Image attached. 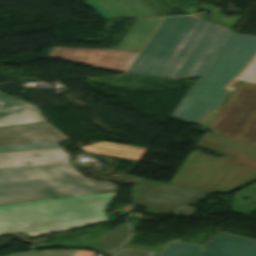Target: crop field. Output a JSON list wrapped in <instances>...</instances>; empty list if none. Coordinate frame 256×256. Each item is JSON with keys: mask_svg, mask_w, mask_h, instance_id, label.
Returning a JSON list of instances; mask_svg holds the SVG:
<instances>
[{"mask_svg": "<svg viewBox=\"0 0 256 256\" xmlns=\"http://www.w3.org/2000/svg\"><path fill=\"white\" fill-rule=\"evenodd\" d=\"M232 31L194 15L166 18L128 72L169 79L203 76Z\"/></svg>", "mask_w": 256, "mask_h": 256, "instance_id": "1", "label": "crop field"}, {"mask_svg": "<svg viewBox=\"0 0 256 256\" xmlns=\"http://www.w3.org/2000/svg\"><path fill=\"white\" fill-rule=\"evenodd\" d=\"M114 190V183L83 177L63 151L0 156V204Z\"/></svg>", "mask_w": 256, "mask_h": 256, "instance_id": "2", "label": "crop field"}, {"mask_svg": "<svg viewBox=\"0 0 256 256\" xmlns=\"http://www.w3.org/2000/svg\"><path fill=\"white\" fill-rule=\"evenodd\" d=\"M117 191L0 205V236L23 232L33 238L106 221Z\"/></svg>", "mask_w": 256, "mask_h": 256, "instance_id": "3", "label": "crop field"}, {"mask_svg": "<svg viewBox=\"0 0 256 256\" xmlns=\"http://www.w3.org/2000/svg\"><path fill=\"white\" fill-rule=\"evenodd\" d=\"M197 146L225 155L223 161L191 151L172 184L227 193L256 180V146L208 132Z\"/></svg>", "mask_w": 256, "mask_h": 256, "instance_id": "4", "label": "crop field"}, {"mask_svg": "<svg viewBox=\"0 0 256 256\" xmlns=\"http://www.w3.org/2000/svg\"><path fill=\"white\" fill-rule=\"evenodd\" d=\"M255 52L256 36L233 34L171 117L196 124L206 112L218 108L228 95L227 85Z\"/></svg>", "mask_w": 256, "mask_h": 256, "instance_id": "5", "label": "crop field"}, {"mask_svg": "<svg viewBox=\"0 0 256 256\" xmlns=\"http://www.w3.org/2000/svg\"><path fill=\"white\" fill-rule=\"evenodd\" d=\"M208 130L256 145V85H237Z\"/></svg>", "mask_w": 256, "mask_h": 256, "instance_id": "6", "label": "crop field"}, {"mask_svg": "<svg viewBox=\"0 0 256 256\" xmlns=\"http://www.w3.org/2000/svg\"><path fill=\"white\" fill-rule=\"evenodd\" d=\"M69 140L48 123L0 129V153L61 148Z\"/></svg>", "mask_w": 256, "mask_h": 256, "instance_id": "7", "label": "crop field"}, {"mask_svg": "<svg viewBox=\"0 0 256 256\" xmlns=\"http://www.w3.org/2000/svg\"><path fill=\"white\" fill-rule=\"evenodd\" d=\"M159 256H256V241L219 232L204 246L170 242Z\"/></svg>", "mask_w": 256, "mask_h": 256, "instance_id": "8", "label": "crop field"}, {"mask_svg": "<svg viewBox=\"0 0 256 256\" xmlns=\"http://www.w3.org/2000/svg\"><path fill=\"white\" fill-rule=\"evenodd\" d=\"M137 53L53 46L49 57L101 69L125 72Z\"/></svg>", "mask_w": 256, "mask_h": 256, "instance_id": "9", "label": "crop field"}, {"mask_svg": "<svg viewBox=\"0 0 256 256\" xmlns=\"http://www.w3.org/2000/svg\"><path fill=\"white\" fill-rule=\"evenodd\" d=\"M209 193L187 187L141 179L135 192V200L140 205L154 204L178 208L180 205H190Z\"/></svg>", "mask_w": 256, "mask_h": 256, "instance_id": "10", "label": "crop field"}, {"mask_svg": "<svg viewBox=\"0 0 256 256\" xmlns=\"http://www.w3.org/2000/svg\"><path fill=\"white\" fill-rule=\"evenodd\" d=\"M43 122L37 107L0 92V128Z\"/></svg>", "mask_w": 256, "mask_h": 256, "instance_id": "11", "label": "crop field"}, {"mask_svg": "<svg viewBox=\"0 0 256 256\" xmlns=\"http://www.w3.org/2000/svg\"><path fill=\"white\" fill-rule=\"evenodd\" d=\"M104 19L157 16L138 0H81Z\"/></svg>", "mask_w": 256, "mask_h": 256, "instance_id": "12", "label": "crop field"}, {"mask_svg": "<svg viewBox=\"0 0 256 256\" xmlns=\"http://www.w3.org/2000/svg\"><path fill=\"white\" fill-rule=\"evenodd\" d=\"M163 18L136 19L134 25L117 47L119 50L140 52Z\"/></svg>", "mask_w": 256, "mask_h": 256, "instance_id": "13", "label": "crop field"}, {"mask_svg": "<svg viewBox=\"0 0 256 256\" xmlns=\"http://www.w3.org/2000/svg\"><path fill=\"white\" fill-rule=\"evenodd\" d=\"M82 149L90 153L102 154L136 161H139L141 156L146 151V149L144 148L131 147L106 142H101L91 146L82 147Z\"/></svg>", "mask_w": 256, "mask_h": 256, "instance_id": "14", "label": "crop field"}, {"mask_svg": "<svg viewBox=\"0 0 256 256\" xmlns=\"http://www.w3.org/2000/svg\"><path fill=\"white\" fill-rule=\"evenodd\" d=\"M130 233V229L127 225H120L114 230H111L107 233L103 243L101 244L99 251L107 254L115 247L119 246Z\"/></svg>", "mask_w": 256, "mask_h": 256, "instance_id": "15", "label": "crop field"}, {"mask_svg": "<svg viewBox=\"0 0 256 256\" xmlns=\"http://www.w3.org/2000/svg\"><path fill=\"white\" fill-rule=\"evenodd\" d=\"M235 79L256 84V56Z\"/></svg>", "mask_w": 256, "mask_h": 256, "instance_id": "16", "label": "crop field"}, {"mask_svg": "<svg viewBox=\"0 0 256 256\" xmlns=\"http://www.w3.org/2000/svg\"><path fill=\"white\" fill-rule=\"evenodd\" d=\"M75 252L76 250L30 251L11 256H73Z\"/></svg>", "mask_w": 256, "mask_h": 256, "instance_id": "17", "label": "crop field"}, {"mask_svg": "<svg viewBox=\"0 0 256 256\" xmlns=\"http://www.w3.org/2000/svg\"><path fill=\"white\" fill-rule=\"evenodd\" d=\"M157 253L133 250L128 248L116 249L109 256H158Z\"/></svg>", "mask_w": 256, "mask_h": 256, "instance_id": "18", "label": "crop field"}, {"mask_svg": "<svg viewBox=\"0 0 256 256\" xmlns=\"http://www.w3.org/2000/svg\"><path fill=\"white\" fill-rule=\"evenodd\" d=\"M219 111H220V109L206 115L203 118V120L200 122L199 126H201L206 131V129L211 124V122L213 121V119L215 118V116L218 114Z\"/></svg>", "mask_w": 256, "mask_h": 256, "instance_id": "19", "label": "crop field"}, {"mask_svg": "<svg viewBox=\"0 0 256 256\" xmlns=\"http://www.w3.org/2000/svg\"><path fill=\"white\" fill-rule=\"evenodd\" d=\"M145 207H146V213H148V214H163V213L170 212L173 210L170 208H163V207L153 206V205H149V206H145Z\"/></svg>", "mask_w": 256, "mask_h": 256, "instance_id": "20", "label": "crop field"}, {"mask_svg": "<svg viewBox=\"0 0 256 256\" xmlns=\"http://www.w3.org/2000/svg\"><path fill=\"white\" fill-rule=\"evenodd\" d=\"M94 254V252L78 250L74 256H93Z\"/></svg>", "mask_w": 256, "mask_h": 256, "instance_id": "21", "label": "crop field"}, {"mask_svg": "<svg viewBox=\"0 0 256 256\" xmlns=\"http://www.w3.org/2000/svg\"><path fill=\"white\" fill-rule=\"evenodd\" d=\"M238 83H239V81L234 80V81L232 82L231 86H232V87H235Z\"/></svg>", "mask_w": 256, "mask_h": 256, "instance_id": "22", "label": "crop field"}]
</instances>
